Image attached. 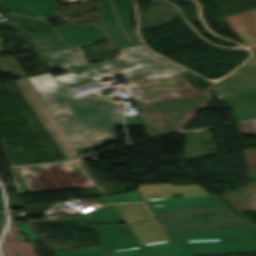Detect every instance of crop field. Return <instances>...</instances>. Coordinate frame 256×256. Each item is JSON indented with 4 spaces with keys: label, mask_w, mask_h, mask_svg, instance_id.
Returning <instances> with one entry per match:
<instances>
[{
    "label": "crop field",
    "mask_w": 256,
    "mask_h": 256,
    "mask_svg": "<svg viewBox=\"0 0 256 256\" xmlns=\"http://www.w3.org/2000/svg\"><path fill=\"white\" fill-rule=\"evenodd\" d=\"M38 55L47 68L63 65L62 69L67 72L53 76L56 80L53 83L43 84L39 75L29 79L74 148L115 141L113 126H122L121 104L102 97L76 98L67 93V88L95 82L98 76L107 73L122 72L126 77H135L186 71L145 50L142 45L120 49L118 59L93 65H87L78 46Z\"/></svg>",
    "instance_id": "obj_1"
},
{
    "label": "crop field",
    "mask_w": 256,
    "mask_h": 256,
    "mask_svg": "<svg viewBox=\"0 0 256 256\" xmlns=\"http://www.w3.org/2000/svg\"><path fill=\"white\" fill-rule=\"evenodd\" d=\"M137 191L164 231L251 226L247 219L237 218L216 196H209L197 185H138ZM170 193H181L183 197L168 199ZM198 206L205 209L181 210ZM202 215L211 216L202 218Z\"/></svg>",
    "instance_id": "obj_2"
},
{
    "label": "crop field",
    "mask_w": 256,
    "mask_h": 256,
    "mask_svg": "<svg viewBox=\"0 0 256 256\" xmlns=\"http://www.w3.org/2000/svg\"><path fill=\"white\" fill-rule=\"evenodd\" d=\"M111 1L119 19V24L130 39V41L133 43V45L130 44V42L116 23L117 19L115 17L109 0H88V3L99 2L100 7L103 9V11L99 13L101 21H113V23L118 26L119 29L114 30H109L108 28H105L115 48L120 49L123 47L139 45L140 42L135 37L129 27L128 0ZM0 8L33 18L57 15V13L55 12L57 6L52 0H0Z\"/></svg>",
    "instance_id": "obj_3"
},
{
    "label": "crop field",
    "mask_w": 256,
    "mask_h": 256,
    "mask_svg": "<svg viewBox=\"0 0 256 256\" xmlns=\"http://www.w3.org/2000/svg\"><path fill=\"white\" fill-rule=\"evenodd\" d=\"M171 241L184 240L194 256L256 251L254 228L166 232Z\"/></svg>",
    "instance_id": "obj_4"
},
{
    "label": "crop field",
    "mask_w": 256,
    "mask_h": 256,
    "mask_svg": "<svg viewBox=\"0 0 256 256\" xmlns=\"http://www.w3.org/2000/svg\"><path fill=\"white\" fill-rule=\"evenodd\" d=\"M59 225L94 229L100 235L102 246L56 251L53 252L55 256H148L127 225L72 223H59Z\"/></svg>",
    "instance_id": "obj_5"
},
{
    "label": "crop field",
    "mask_w": 256,
    "mask_h": 256,
    "mask_svg": "<svg viewBox=\"0 0 256 256\" xmlns=\"http://www.w3.org/2000/svg\"><path fill=\"white\" fill-rule=\"evenodd\" d=\"M75 161H78L79 164L82 166L84 171L87 173L89 178L92 180V184L89 183L85 175L82 173L78 165ZM60 163H64L68 171L70 172L71 176L75 180L77 185H74L63 167ZM42 166L45 167L55 184L58 188H55L54 185L51 183L47 175L42 170ZM29 167L33 175L35 176L36 180L40 184L42 189H39L36 185L35 181L33 180L32 176L28 172L27 168ZM26 167H15L18 168L29 191H26L15 168H10L12 172V176L16 185V189L18 193L23 192H33V191H43V190H53V189H64V188H74V187H84V186H94L98 185V183L95 181L93 176L90 174L86 166L84 165L81 158L70 160V161H64L59 163H53V164H45V165H36V166H26Z\"/></svg>",
    "instance_id": "obj_6"
},
{
    "label": "crop field",
    "mask_w": 256,
    "mask_h": 256,
    "mask_svg": "<svg viewBox=\"0 0 256 256\" xmlns=\"http://www.w3.org/2000/svg\"><path fill=\"white\" fill-rule=\"evenodd\" d=\"M128 227L149 256H193L184 241L168 242L154 220L129 224Z\"/></svg>",
    "instance_id": "obj_7"
},
{
    "label": "crop field",
    "mask_w": 256,
    "mask_h": 256,
    "mask_svg": "<svg viewBox=\"0 0 256 256\" xmlns=\"http://www.w3.org/2000/svg\"><path fill=\"white\" fill-rule=\"evenodd\" d=\"M20 93L23 95L29 106L32 108L34 113L40 122L49 132L52 139L55 141L65 158H70L74 155L78 156L76 150L70 144L66 136L63 134L50 112L42 102L38 93L32 86L31 82L27 77L21 78L15 82Z\"/></svg>",
    "instance_id": "obj_8"
},
{
    "label": "crop field",
    "mask_w": 256,
    "mask_h": 256,
    "mask_svg": "<svg viewBox=\"0 0 256 256\" xmlns=\"http://www.w3.org/2000/svg\"><path fill=\"white\" fill-rule=\"evenodd\" d=\"M7 15L25 39L30 40L35 44L37 47L34 48L36 53L59 50V47L68 49L45 18L34 20L9 13H7ZM44 42H46L48 47L40 46Z\"/></svg>",
    "instance_id": "obj_9"
},
{
    "label": "crop field",
    "mask_w": 256,
    "mask_h": 256,
    "mask_svg": "<svg viewBox=\"0 0 256 256\" xmlns=\"http://www.w3.org/2000/svg\"><path fill=\"white\" fill-rule=\"evenodd\" d=\"M54 29L68 48L105 38L102 30L95 22L81 26H77L76 23H69Z\"/></svg>",
    "instance_id": "obj_10"
},
{
    "label": "crop field",
    "mask_w": 256,
    "mask_h": 256,
    "mask_svg": "<svg viewBox=\"0 0 256 256\" xmlns=\"http://www.w3.org/2000/svg\"><path fill=\"white\" fill-rule=\"evenodd\" d=\"M255 55L246 64L238 68L230 76L215 83L207 90L221 89H244L256 90V47H250Z\"/></svg>",
    "instance_id": "obj_11"
},
{
    "label": "crop field",
    "mask_w": 256,
    "mask_h": 256,
    "mask_svg": "<svg viewBox=\"0 0 256 256\" xmlns=\"http://www.w3.org/2000/svg\"><path fill=\"white\" fill-rule=\"evenodd\" d=\"M225 20L244 41L242 45H256V9L226 17Z\"/></svg>",
    "instance_id": "obj_12"
},
{
    "label": "crop field",
    "mask_w": 256,
    "mask_h": 256,
    "mask_svg": "<svg viewBox=\"0 0 256 256\" xmlns=\"http://www.w3.org/2000/svg\"><path fill=\"white\" fill-rule=\"evenodd\" d=\"M27 222H123L113 204L81 217H64L57 220H27Z\"/></svg>",
    "instance_id": "obj_13"
},
{
    "label": "crop field",
    "mask_w": 256,
    "mask_h": 256,
    "mask_svg": "<svg viewBox=\"0 0 256 256\" xmlns=\"http://www.w3.org/2000/svg\"><path fill=\"white\" fill-rule=\"evenodd\" d=\"M212 92L231 108L256 106V91L217 90Z\"/></svg>",
    "instance_id": "obj_14"
},
{
    "label": "crop field",
    "mask_w": 256,
    "mask_h": 256,
    "mask_svg": "<svg viewBox=\"0 0 256 256\" xmlns=\"http://www.w3.org/2000/svg\"><path fill=\"white\" fill-rule=\"evenodd\" d=\"M114 206L125 223L152 218L142 203H121Z\"/></svg>",
    "instance_id": "obj_15"
},
{
    "label": "crop field",
    "mask_w": 256,
    "mask_h": 256,
    "mask_svg": "<svg viewBox=\"0 0 256 256\" xmlns=\"http://www.w3.org/2000/svg\"><path fill=\"white\" fill-rule=\"evenodd\" d=\"M0 68L3 70L4 73L11 72L13 76L22 77L24 73L17 65L13 57L8 58H0Z\"/></svg>",
    "instance_id": "obj_16"
},
{
    "label": "crop field",
    "mask_w": 256,
    "mask_h": 256,
    "mask_svg": "<svg viewBox=\"0 0 256 256\" xmlns=\"http://www.w3.org/2000/svg\"><path fill=\"white\" fill-rule=\"evenodd\" d=\"M102 202L142 201L137 191L100 198Z\"/></svg>",
    "instance_id": "obj_17"
},
{
    "label": "crop field",
    "mask_w": 256,
    "mask_h": 256,
    "mask_svg": "<svg viewBox=\"0 0 256 256\" xmlns=\"http://www.w3.org/2000/svg\"><path fill=\"white\" fill-rule=\"evenodd\" d=\"M238 121H244L248 119L256 118V107L244 108V109H233Z\"/></svg>",
    "instance_id": "obj_18"
},
{
    "label": "crop field",
    "mask_w": 256,
    "mask_h": 256,
    "mask_svg": "<svg viewBox=\"0 0 256 256\" xmlns=\"http://www.w3.org/2000/svg\"><path fill=\"white\" fill-rule=\"evenodd\" d=\"M15 223L19 227V229L22 231V233L25 235V237L28 239V241H38L37 238L32 233L27 223H18V222H15Z\"/></svg>",
    "instance_id": "obj_19"
},
{
    "label": "crop field",
    "mask_w": 256,
    "mask_h": 256,
    "mask_svg": "<svg viewBox=\"0 0 256 256\" xmlns=\"http://www.w3.org/2000/svg\"><path fill=\"white\" fill-rule=\"evenodd\" d=\"M240 132L243 135H254V123L253 122H246L239 124Z\"/></svg>",
    "instance_id": "obj_20"
},
{
    "label": "crop field",
    "mask_w": 256,
    "mask_h": 256,
    "mask_svg": "<svg viewBox=\"0 0 256 256\" xmlns=\"http://www.w3.org/2000/svg\"><path fill=\"white\" fill-rule=\"evenodd\" d=\"M126 126H142L140 119H124Z\"/></svg>",
    "instance_id": "obj_21"
},
{
    "label": "crop field",
    "mask_w": 256,
    "mask_h": 256,
    "mask_svg": "<svg viewBox=\"0 0 256 256\" xmlns=\"http://www.w3.org/2000/svg\"><path fill=\"white\" fill-rule=\"evenodd\" d=\"M40 77H41L43 83L55 81L53 79L52 75L50 74V72L44 73V74H40Z\"/></svg>",
    "instance_id": "obj_22"
},
{
    "label": "crop field",
    "mask_w": 256,
    "mask_h": 256,
    "mask_svg": "<svg viewBox=\"0 0 256 256\" xmlns=\"http://www.w3.org/2000/svg\"><path fill=\"white\" fill-rule=\"evenodd\" d=\"M104 27H109V29L117 28L116 25L112 24V22H102Z\"/></svg>",
    "instance_id": "obj_23"
},
{
    "label": "crop field",
    "mask_w": 256,
    "mask_h": 256,
    "mask_svg": "<svg viewBox=\"0 0 256 256\" xmlns=\"http://www.w3.org/2000/svg\"><path fill=\"white\" fill-rule=\"evenodd\" d=\"M0 217H1V218H5V219H6V217H5V213H3V212H1V211H0Z\"/></svg>",
    "instance_id": "obj_24"
},
{
    "label": "crop field",
    "mask_w": 256,
    "mask_h": 256,
    "mask_svg": "<svg viewBox=\"0 0 256 256\" xmlns=\"http://www.w3.org/2000/svg\"><path fill=\"white\" fill-rule=\"evenodd\" d=\"M0 44H1V40H0ZM0 53H4V51L1 48V46H0Z\"/></svg>",
    "instance_id": "obj_25"
},
{
    "label": "crop field",
    "mask_w": 256,
    "mask_h": 256,
    "mask_svg": "<svg viewBox=\"0 0 256 256\" xmlns=\"http://www.w3.org/2000/svg\"><path fill=\"white\" fill-rule=\"evenodd\" d=\"M5 222V220H3V219H0V224H2V223H4Z\"/></svg>",
    "instance_id": "obj_26"
}]
</instances>
